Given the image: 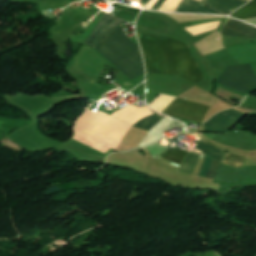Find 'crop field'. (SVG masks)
Segmentation results:
<instances>
[{
	"instance_id": "obj_1",
	"label": "crop field",
	"mask_w": 256,
	"mask_h": 256,
	"mask_svg": "<svg viewBox=\"0 0 256 256\" xmlns=\"http://www.w3.org/2000/svg\"><path fill=\"white\" fill-rule=\"evenodd\" d=\"M138 38L144 53L146 73L176 74L194 83L203 79L187 45L159 36L138 34Z\"/></svg>"
},
{
	"instance_id": "obj_2",
	"label": "crop field",
	"mask_w": 256,
	"mask_h": 256,
	"mask_svg": "<svg viewBox=\"0 0 256 256\" xmlns=\"http://www.w3.org/2000/svg\"><path fill=\"white\" fill-rule=\"evenodd\" d=\"M130 80L144 74L139 47L120 26L115 28L96 48Z\"/></svg>"
},
{
	"instance_id": "obj_3",
	"label": "crop field",
	"mask_w": 256,
	"mask_h": 256,
	"mask_svg": "<svg viewBox=\"0 0 256 256\" xmlns=\"http://www.w3.org/2000/svg\"><path fill=\"white\" fill-rule=\"evenodd\" d=\"M218 80L243 93L256 88V75L250 64L227 67Z\"/></svg>"
},
{
	"instance_id": "obj_4",
	"label": "crop field",
	"mask_w": 256,
	"mask_h": 256,
	"mask_svg": "<svg viewBox=\"0 0 256 256\" xmlns=\"http://www.w3.org/2000/svg\"><path fill=\"white\" fill-rule=\"evenodd\" d=\"M210 106L176 98L163 113L201 123Z\"/></svg>"
},
{
	"instance_id": "obj_5",
	"label": "crop field",
	"mask_w": 256,
	"mask_h": 256,
	"mask_svg": "<svg viewBox=\"0 0 256 256\" xmlns=\"http://www.w3.org/2000/svg\"><path fill=\"white\" fill-rule=\"evenodd\" d=\"M245 114L234 109L215 115L204 124V132L221 133L230 130Z\"/></svg>"
},
{
	"instance_id": "obj_6",
	"label": "crop field",
	"mask_w": 256,
	"mask_h": 256,
	"mask_svg": "<svg viewBox=\"0 0 256 256\" xmlns=\"http://www.w3.org/2000/svg\"><path fill=\"white\" fill-rule=\"evenodd\" d=\"M125 20L104 14L84 44L95 48L116 26Z\"/></svg>"
},
{
	"instance_id": "obj_7",
	"label": "crop field",
	"mask_w": 256,
	"mask_h": 256,
	"mask_svg": "<svg viewBox=\"0 0 256 256\" xmlns=\"http://www.w3.org/2000/svg\"><path fill=\"white\" fill-rule=\"evenodd\" d=\"M221 34L256 38V28L241 21L228 18Z\"/></svg>"
},
{
	"instance_id": "obj_8",
	"label": "crop field",
	"mask_w": 256,
	"mask_h": 256,
	"mask_svg": "<svg viewBox=\"0 0 256 256\" xmlns=\"http://www.w3.org/2000/svg\"><path fill=\"white\" fill-rule=\"evenodd\" d=\"M206 5L219 10L225 14H230L231 12L237 10L247 1L245 0H201Z\"/></svg>"
},
{
	"instance_id": "obj_9",
	"label": "crop field",
	"mask_w": 256,
	"mask_h": 256,
	"mask_svg": "<svg viewBox=\"0 0 256 256\" xmlns=\"http://www.w3.org/2000/svg\"><path fill=\"white\" fill-rule=\"evenodd\" d=\"M175 12L222 14L195 0H183Z\"/></svg>"
},
{
	"instance_id": "obj_10",
	"label": "crop field",
	"mask_w": 256,
	"mask_h": 256,
	"mask_svg": "<svg viewBox=\"0 0 256 256\" xmlns=\"http://www.w3.org/2000/svg\"><path fill=\"white\" fill-rule=\"evenodd\" d=\"M198 144V146L195 148L196 150H201V151H204V154L218 160L221 162L223 156L225 155V151L217 148V147H214V146H211V145H208V144H205L201 141H198L196 142ZM195 152H199V153H202L201 151H196Z\"/></svg>"
},
{
	"instance_id": "obj_11",
	"label": "crop field",
	"mask_w": 256,
	"mask_h": 256,
	"mask_svg": "<svg viewBox=\"0 0 256 256\" xmlns=\"http://www.w3.org/2000/svg\"><path fill=\"white\" fill-rule=\"evenodd\" d=\"M230 16L238 19L256 17V0H251L247 5L241 7Z\"/></svg>"
},
{
	"instance_id": "obj_12",
	"label": "crop field",
	"mask_w": 256,
	"mask_h": 256,
	"mask_svg": "<svg viewBox=\"0 0 256 256\" xmlns=\"http://www.w3.org/2000/svg\"><path fill=\"white\" fill-rule=\"evenodd\" d=\"M211 160L212 159H210L209 157L204 155L203 166H202V169H201V171H200L198 176H201V177L205 176ZM219 165H220V163L216 162L215 160H212V162L210 164V167L208 169V172H207L205 177L214 179L215 175L217 173Z\"/></svg>"
},
{
	"instance_id": "obj_13",
	"label": "crop field",
	"mask_w": 256,
	"mask_h": 256,
	"mask_svg": "<svg viewBox=\"0 0 256 256\" xmlns=\"http://www.w3.org/2000/svg\"><path fill=\"white\" fill-rule=\"evenodd\" d=\"M199 157H200V154L190 152L188 154V156L186 157L185 161L183 162L179 171L191 174L193 169L196 166V163H197V160H198Z\"/></svg>"
},
{
	"instance_id": "obj_14",
	"label": "crop field",
	"mask_w": 256,
	"mask_h": 256,
	"mask_svg": "<svg viewBox=\"0 0 256 256\" xmlns=\"http://www.w3.org/2000/svg\"><path fill=\"white\" fill-rule=\"evenodd\" d=\"M162 119V117L153 114L150 115L142 120H140L139 122H137L134 127H138L144 130H150L158 121H160Z\"/></svg>"
},
{
	"instance_id": "obj_15",
	"label": "crop field",
	"mask_w": 256,
	"mask_h": 256,
	"mask_svg": "<svg viewBox=\"0 0 256 256\" xmlns=\"http://www.w3.org/2000/svg\"><path fill=\"white\" fill-rule=\"evenodd\" d=\"M186 155H187V152H184L182 150H179L177 148L170 146V148L164 155V158L181 164Z\"/></svg>"
},
{
	"instance_id": "obj_16",
	"label": "crop field",
	"mask_w": 256,
	"mask_h": 256,
	"mask_svg": "<svg viewBox=\"0 0 256 256\" xmlns=\"http://www.w3.org/2000/svg\"><path fill=\"white\" fill-rule=\"evenodd\" d=\"M244 161H245V158H243V157H239V156H235V155L227 153L223 160V163H225L229 166H232V167L241 168Z\"/></svg>"
},
{
	"instance_id": "obj_17",
	"label": "crop field",
	"mask_w": 256,
	"mask_h": 256,
	"mask_svg": "<svg viewBox=\"0 0 256 256\" xmlns=\"http://www.w3.org/2000/svg\"><path fill=\"white\" fill-rule=\"evenodd\" d=\"M166 0H159L151 9L157 10L160 8Z\"/></svg>"
},
{
	"instance_id": "obj_18",
	"label": "crop field",
	"mask_w": 256,
	"mask_h": 256,
	"mask_svg": "<svg viewBox=\"0 0 256 256\" xmlns=\"http://www.w3.org/2000/svg\"><path fill=\"white\" fill-rule=\"evenodd\" d=\"M149 0H141L140 3L146 4Z\"/></svg>"
},
{
	"instance_id": "obj_19",
	"label": "crop field",
	"mask_w": 256,
	"mask_h": 256,
	"mask_svg": "<svg viewBox=\"0 0 256 256\" xmlns=\"http://www.w3.org/2000/svg\"><path fill=\"white\" fill-rule=\"evenodd\" d=\"M198 1H200V0H198ZM201 2V1H200Z\"/></svg>"
}]
</instances>
